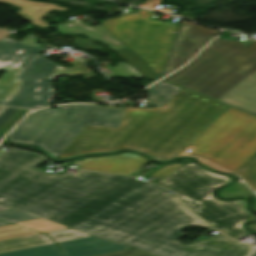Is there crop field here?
<instances>
[{
	"mask_svg": "<svg viewBox=\"0 0 256 256\" xmlns=\"http://www.w3.org/2000/svg\"><path fill=\"white\" fill-rule=\"evenodd\" d=\"M36 154L10 149L0 156V205L70 225L139 180L77 170L48 174Z\"/></svg>",
	"mask_w": 256,
	"mask_h": 256,
	"instance_id": "obj_1",
	"label": "crop field"
},
{
	"mask_svg": "<svg viewBox=\"0 0 256 256\" xmlns=\"http://www.w3.org/2000/svg\"><path fill=\"white\" fill-rule=\"evenodd\" d=\"M226 107L180 89L164 106L125 108L116 129L87 126L56 159L129 148L157 161L170 160Z\"/></svg>",
	"mask_w": 256,
	"mask_h": 256,
	"instance_id": "obj_2",
	"label": "crop field"
},
{
	"mask_svg": "<svg viewBox=\"0 0 256 256\" xmlns=\"http://www.w3.org/2000/svg\"><path fill=\"white\" fill-rule=\"evenodd\" d=\"M165 190L96 234L157 256H248L254 247L222 234L199 236L191 244L179 243L188 225L212 229ZM213 230V229H212ZM252 253V252H251Z\"/></svg>",
	"mask_w": 256,
	"mask_h": 256,
	"instance_id": "obj_3",
	"label": "crop field"
},
{
	"mask_svg": "<svg viewBox=\"0 0 256 256\" xmlns=\"http://www.w3.org/2000/svg\"><path fill=\"white\" fill-rule=\"evenodd\" d=\"M36 37L28 35L17 42L0 40V69L7 70L0 78V104L39 108L50 105L53 78L65 75L95 74L86 66L62 68L37 55L43 48Z\"/></svg>",
	"mask_w": 256,
	"mask_h": 256,
	"instance_id": "obj_4",
	"label": "crop field"
},
{
	"mask_svg": "<svg viewBox=\"0 0 256 256\" xmlns=\"http://www.w3.org/2000/svg\"><path fill=\"white\" fill-rule=\"evenodd\" d=\"M256 71V41L218 37L191 64L165 80L215 100Z\"/></svg>",
	"mask_w": 256,
	"mask_h": 256,
	"instance_id": "obj_5",
	"label": "crop field"
},
{
	"mask_svg": "<svg viewBox=\"0 0 256 256\" xmlns=\"http://www.w3.org/2000/svg\"><path fill=\"white\" fill-rule=\"evenodd\" d=\"M124 109L97 105H63L28 115L7 138L8 141L38 145L56 158L87 126L116 128Z\"/></svg>",
	"mask_w": 256,
	"mask_h": 256,
	"instance_id": "obj_6",
	"label": "crop field"
},
{
	"mask_svg": "<svg viewBox=\"0 0 256 256\" xmlns=\"http://www.w3.org/2000/svg\"><path fill=\"white\" fill-rule=\"evenodd\" d=\"M231 181V177L213 174L201 167L167 189L178 193L183 203L196 215L237 240L249 234L243 224L256 219V216L246 210V200L226 202L214 198L213 189Z\"/></svg>",
	"mask_w": 256,
	"mask_h": 256,
	"instance_id": "obj_7",
	"label": "crop field"
},
{
	"mask_svg": "<svg viewBox=\"0 0 256 256\" xmlns=\"http://www.w3.org/2000/svg\"><path fill=\"white\" fill-rule=\"evenodd\" d=\"M190 146L191 156L233 172L256 151V117L229 107Z\"/></svg>",
	"mask_w": 256,
	"mask_h": 256,
	"instance_id": "obj_8",
	"label": "crop field"
},
{
	"mask_svg": "<svg viewBox=\"0 0 256 256\" xmlns=\"http://www.w3.org/2000/svg\"><path fill=\"white\" fill-rule=\"evenodd\" d=\"M154 12L121 13L100 22L119 41L139 54L160 77L179 24L154 20Z\"/></svg>",
	"mask_w": 256,
	"mask_h": 256,
	"instance_id": "obj_9",
	"label": "crop field"
},
{
	"mask_svg": "<svg viewBox=\"0 0 256 256\" xmlns=\"http://www.w3.org/2000/svg\"><path fill=\"white\" fill-rule=\"evenodd\" d=\"M163 190L140 181L68 227L92 235Z\"/></svg>",
	"mask_w": 256,
	"mask_h": 256,
	"instance_id": "obj_10",
	"label": "crop field"
},
{
	"mask_svg": "<svg viewBox=\"0 0 256 256\" xmlns=\"http://www.w3.org/2000/svg\"><path fill=\"white\" fill-rule=\"evenodd\" d=\"M218 33L219 31L181 20L161 77L190 60L203 45Z\"/></svg>",
	"mask_w": 256,
	"mask_h": 256,
	"instance_id": "obj_11",
	"label": "crop field"
},
{
	"mask_svg": "<svg viewBox=\"0 0 256 256\" xmlns=\"http://www.w3.org/2000/svg\"><path fill=\"white\" fill-rule=\"evenodd\" d=\"M149 162L151 161L133 153H123L111 156L76 159L72 160L71 165L78 166L77 168L80 169L130 175Z\"/></svg>",
	"mask_w": 256,
	"mask_h": 256,
	"instance_id": "obj_12",
	"label": "crop field"
},
{
	"mask_svg": "<svg viewBox=\"0 0 256 256\" xmlns=\"http://www.w3.org/2000/svg\"><path fill=\"white\" fill-rule=\"evenodd\" d=\"M66 256H92L112 251L130 249L108 240L96 238L94 236L58 243Z\"/></svg>",
	"mask_w": 256,
	"mask_h": 256,
	"instance_id": "obj_13",
	"label": "crop field"
},
{
	"mask_svg": "<svg viewBox=\"0 0 256 256\" xmlns=\"http://www.w3.org/2000/svg\"><path fill=\"white\" fill-rule=\"evenodd\" d=\"M218 101L256 115V72L249 75Z\"/></svg>",
	"mask_w": 256,
	"mask_h": 256,
	"instance_id": "obj_14",
	"label": "crop field"
},
{
	"mask_svg": "<svg viewBox=\"0 0 256 256\" xmlns=\"http://www.w3.org/2000/svg\"><path fill=\"white\" fill-rule=\"evenodd\" d=\"M70 24L71 26H69ZM60 33L78 35L83 33L90 39L99 40L102 43L108 44L112 50L124 47L111 33H109L103 26H89L79 20L57 25Z\"/></svg>",
	"mask_w": 256,
	"mask_h": 256,
	"instance_id": "obj_15",
	"label": "crop field"
},
{
	"mask_svg": "<svg viewBox=\"0 0 256 256\" xmlns=\"http://www.w3.org/2000/svg\"><path fill=\"white\" fill-rule=\"evenodd\" d=\"M54 242L46 235L40 234L5 242H0V253L13 250L25 249L41 245L53 244Z\"/></svg>",
	"mask_w": 256,
	"mask_h": 256,
	"instance_id": "obj_16",
	"label": "crop field"
},
{
	"mask_svg": "<svg viewBox=\"0 0 256 256\" xmlns=\"http://www.w3.org/2000/svg\"><path fill=\"white\" fill-rule=\"evenodd\" d=\"M179 89L180 87L161 81L149 87L146 91L149 93L148 99L151 104L160 106L164 105Z\"/></svg>",
	"mask_w": 256,
	"mask_h": 256,
	"instance_id": "obj_17",
	"label": "crop field"
},
{
	"mask_svg": "<svg viewBox=\"0 0 256 256\" xmlns=\"http://www.w3.org/2000/svg\"><path fill=\"white\" fill-rule=\"evenodd\" d=\"M119 56L124 59L127 63L131 64L139 72H141L148 79H157L155 74L147 66V64L140 59L136 54L129 51L126 47L116 50Z\"/></svg>",
	"mask_w": 256,
	"mask_h": 256,
	"instance_id": "obj_18",
	"label": "crop field"
},
{
	"mask_svg": "<svg viewBox=\"0 0 256 256\" xmlns=\"http://www.w3.org/2000/svg\"><path fill=\"white\" fill-rule=\"evenodd\" d=\"M0 256H63L56 244L2 253Z\"/></svg>",
	"mask_w": 256,
	"mask_h": 256,
	"instance_id": "obj_19",
	"label": "crop field"
},
{
	"mask_svg": "<svg viewBox=\"0 0 256 256\" xmlns=\"http://www.w3.org/2000/svg\"><path fill=\"white\" fill-rule=\"evenodd\" d=\"M234 173L241 176L245 183L256 191V152Z\"/></svg>",
	"mask_w": 256,
	"mask_h": 256,
	"instance_id": "obj_20",
	"label": "crop field"
},
{
	"mask_svg": "<svg viewBox=\"0 0 256 256\" xmlns=\"http://www.w3.org/2000/svg\"><path fill=\"white\" fill-rule=\"evenodd\" d=\"M40 234L31 230L20 228L17 226L9 225L0 227V241Z\"/></svg>",
	"mask_w": 256,
	"mask_h": 256,
	"instance_id": "obj_21",
	"label": "crop field"
},
{
	"mask_svg": "<svg viewBox=\"0 0 256 256\" xmlns=\"http://www.w3.org/2000/svg\"><path fill=\"white\" fill-rule=\"evenodd\" d=\"M200 166L197 165L195 162H191L188 165L184 166L180 170L176 171L172 175L168 176L164 180L160 181L157 185H160L162 187H169L170 185L174 184L178 180L182 179L186 175L190 174L194 170L198 169Z\"/></svg>",
	"mask_w": 256,
	"mask_h": 256,
	"instance_id": "obj_22",
	"label": "crop field"
},
{
	"mask_svg": "<svg viewBox=\"0 0 256 256\" xmlns=\"http://www.w3.org/2000/svg\"><path fill=\"white\" fill-rule=\"evenodd\" d=\"M16 224L22 225L28 228H32L35 230L43 231V232L67 228L66 226H63L51 221H47L44 219H36V220H31V221H26V222H21Z\"/></svg>",
	"mask_w": 256,
	"mask_h": 256,
	"instance_id": "obj_23",
	"label": "crop field"
},
{
	"mask_svg": "<svg viewBox=\"0 0 256 256\" xmlns=\"http://www.w3.org/2000/svg\"><path fill=\"white\" fill-rule=\"evenodd\" d=\"M46 235H48L50 238H52L56 242L73 240V239L90 236L88 234L79 232L71 228L59 230V231L47 232Z\"/></svg>",
	"mask_w": 256,
	"mask_h": 256,
	"instance_id": "obj_24",
	"label": "crop field"
},
{
	"mask_svg": "<svg viewBox=\"0 0 256 256\" xmlns=\"http://www.w3.org/2000/svg\"><path fill=\"white\" fill-rule=\"evenodd\" d=\"M218 194L222 198H228V197H235V196H243V195H248V196H253V194L242 181H238L237 183L222 189L218 192Z\"/></svg>",
	"mask_w": 256,
	"mask_h": 256,
	"instance_id": "obj_25",
	"label": "crop field"
},
{
	"mask_svg": "<svg viewBox=\"0 0 256 256\" xmlns=\"http://www.w3.org/2000/svg\"><path fill=\"white\" fill-rule=\"evenodd\" d=\"M108 77H144L136 69L127 63H118L117 67H113V74Z\"/></svg>",
	"mask_w": 256,
	"mask_h": 256,
	"instance_id": "obj_26",
	"label": "crop field"
},
{
	"mask_svg": "<svg viewBox=\"0 0 256 256\" xmlns=\"http://www.w3.org/2000/svg\"><path fill=\"white\" fill-rule=\"evenodd\" d=\"M0 219L8 222L16 223V222L36 219V217L30 216L12 209H8V210L0 211Z\"/></svg>",
	"mask_w": 256,
	"mask_h": 256,
	"instance_id": "obj_27",
	"label": "crop field"
},
{
	"mask_svg": "<svg viewBox=\"0 0 256 256\" xmlns=\"http://www.w3.org/2000/svg\"><path fill=\"white\" fill-rule=\"evenodd\" d=\"M28 110L19 109L14 115H12L1 127H0V137L9 131L19 119L27 112Z\"/></svg>",
	"mask_w": 256,
	"mask_h": 256,
	"instance_id": "obj_28",
	"label": "crop field"
},
{
	"mask_svg": "<svg viewBox=\"0 0 256 256\" xmlns=\"http://www.w3.org/2000/svg\"><path fill=\"white\" fill-rule=\"evenodd\" d=\"M97 256H154L136 249H130V250H124V251H118V252H112Z\"/></svg>",
	"mask_w": 256,
	"mask_h": 256,
	"instance_id": "obj_29",
	"label": "crop field"
},
{
	"mask_svg": "<svg viewBox=\"0 0 256 256\" xmlns=\"http://www.w3.org/2000/svg\"><path fill=\"white\" fill-rule=\"evenodd\" d=\"M17 108L7 107L4 112L0 115V126L13 114L17 111Z\"/></svg>",
	"mask_w": 256,
	"mask_h": 256,
	"instance_id": "obj_30",
	"label": "crop field"
},
{
	"mask_svg": "<svg viewBox=\"0 0 256 256\" xmlns=\"http://www.w3.org/2000/svg\"><path fill=\"white\" fill-rule=\"evenodd\" d=\"M75 42L86 46V47H85V50H96V49H99V48H100L99 46H96V45L90 43V42L88 41V39L77 38ZM88 45H91V47H88Z\"/></svg>",
	"mask_w": 256,
	"mask_h": 256,
	"instance_id": "obj_31",
	"label": "crop field"
},
{
	"mask_svg": "<svg viewBox=\"0 0 256 256\" xmlns=\"http://www.w3.org/2000/svg\"><path fill=\"white\" fill-rule=\"evenodd\" d=\"M159 4H160L159 0H148L147 2H145V3H143V4L139 5V6L154 9ZM155 10H157V9H155ZM159 11H163V12L169 13V11L165 10V9H161Z\"/></svg>",
	"mask_w": 256,
	"mask_h": 256,
	"instance_id": "obj_32",
	"label": "crop field"
},
{
	"mask_svg": "<svg viewBox=\"0 0 256 256\" xmlns=\"http://www.w3.org/2000/svg\"><path fill=\"white\" fill-rule=\"evenodd\" d=\"M198 160H199L200 163H203V164H205V165H207V166H209V167H211V168H213V169H215L217 171L228 172V171H226V170H224V169H222V168H220V167H218V166H216V165H214V164H212L210 162L204 161L202 159H198Z\"/></svg>",
	"mask_w": 256,
	"mask_h": 256,
	"instance_id": "obj_33",
	"label": "crop field"
},
{
	"mask_svg": "<svg viewBox=\"0 0 256 256\" xmlns=\"http://www.w3.org/2000/svg\"><path fill=\"white\" fill-rule=\"evenodd\" d=\"M162 166H164V165L159 164L158 166H156L155 168H153L152 170H150L149 172H147L146 174H144V175L141 176V177L145 178L146 176L150 175L151 173H153L154 171L158 170V169L161 168ZM143 178H141V179H143Z\"/></svg>",
	"mask_w": 256,
	"mask_h": 256,
	"instance_id": "obj_34",
	"label": "crop field"
},
{
	"mask_svg": "<svg viewBox=\"0 0 256 256\" xmlns=\"http://www.w3.org/2000/svg\"><path fill=\"white\" fill-rule=\"evenodd\" d=\"M9 35V31L6 30V29H0V39L5 37V36H8Z\"/></svg>",
	"mask_w": 256,
	"mask_h": 256,
	"instance_id": "obj_35",
	"label": "crop field"
},
{
	"mask_svg": "<svg viewBox=\"0 0 256 256\" xmlns=\"http://www.w3.org/2000/svg\"><path fill=\"white\" fill-rule=\"evenodd\" d=\"M193 147H190V146H188L187 148H186V150L182 153V154H180V155H188L189 153H185L188 149H192Z\"/></svg>",
	"mask_w": 256,
	"mask_h": 256,
	"instance_id": "obj_36",
	"label": "crop field"
},
{
	"mask_svg": "<svg viewBox=\"0 0 256 256\" xmlns=\"http://www.w3.org/2000/svg\"><path fill=\"white\" fill-rule=\"evenodd\" d=\"M253 199H254L253 208L256 210V197Z\"/></svg>",
	"mask_w": 256,
	"mask_h": 256,
	"instance_id": "obj_37",
	"label": "crop field"
},
{
	"mask_svg": "<svg viewBox=\"0 0 256 256\" xmlns=\"http://www.w3.org/2000/svg\"><path fill=\"white\" fill-rule=\"evenodd\" d=\"M5 225H9V224L4 223V222H0V226H5Z\"/></svg>",
	"mask_w": 256,
	"mask_h": 256,
	"instance_id": "obj_38",
	"label": "crop field"
},
{
	"mask_svg": "<svg viewBox=\"0 0 256 256\" xmlns=\"http://www.w3.org/2000/svg\"><path fill=\"white\" fill-rule=\"evenodd\" d=\"M5 108H6V107H1V106H0V113H1ZM3 112H4V111H3ZM3 112H2V113H3Z\"/></svg>",
	"mask_w": 256,
	"mask_h": 256,
	"instance_id": "obj_39",
	"label": "crop field"
},
{
	"mask_svg": "<svg viewBox=\"0 0 256 256\" xmlns=\"http://www.w3.org/2000/svg\"><path fill=\"white\" fill-rule=\"evenodd\" d=\"M3 209H8V208L0 206V210H3Z\"/></svg>",
	"mask_w": 256,
	"mask_h": 256,
	"instance_id": "obj_40",
	"label": "crop field"
},
{
	"mask_svg": "<svg viewBox=\"0 0 256 256\" xmlns=\"http://www.w3.org/2000/svg\"><path fill=\"white\" fill-rule=\"evenodd\" d=\"M252 256H256V252H254Z\"/></svg>",
	"mask_w": 256,
	"mask_h": 256,
	"instance_id": "obj_41",
	"label": "crop field"
}]
</instances>
